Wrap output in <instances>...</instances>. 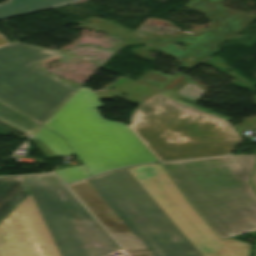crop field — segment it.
Returning <instances> with one entry per match:
<instances>
[{"label":"crop field","instance_id":"4","mask_svg":"<svg viewBox=\"0 0 256 256\" xmlns=\"http://www.w3.org/2000/svg\"><path fill=\"white\" fill-rule=\"evenodd\" d=\"M100 107L94 94L82 88L44 126L64 138L92 176L157 161L126 124L104 120Z\"/></svg>","mask_w":256,"mask_h":256},{"label":"crop field","instance_id":"14","mask_svg":"<svg viewBox=\"0 0 256 256\" xmlns=\"http://www.w3.org/2000/svg\"><path fill=\"white\" fill-rule=\"evenodd\" d=\"M169 78L170 76L151 70L142 79H140L139 82L159 88Z\"/></svg>","mask_w":256,"mask_h":256},{"label":"crop field","instance_id":"1","mask_svg":"<svg viewBox=\"0 0 256 256\" xmlns=\"http://www.w3.org/2000/svg\"><path fill=\"white\" fill-rule=\"evenodd\" d=\"M68 187L130 256L250 254V244L220 240L159 163L111 171Z\"/></svg>","mask_w":256,"mask_h":256},{"label":"crop field","instance_id":"6","mask_svg":"<svg viewBox=\"0 0 256 256\" xmlns=\"http://www.w3.org/2000/svg\"><path fill=\"white\" fill-rule=\"evenodd\" d=\"M24 178L62 256H103L120 250L55 175Z\"/></svg>","mask_w":256,"mask_h":256},{"label":"crop field","instance_id":"15","mask_svg":"<svg viewBox=\"0 0 256 256\" xmlns=\"http://www.w3.org/2000/svg\"><path fill=\"white\" fill-rule=\"evenodd\" d=\"M184 76L177 74L168 83L164 85L162 90L175 94L180 88H182L187 82L183 80Z\"/></svg>","mask_w":256,"mask_h":256},{"label":"crop field","instance_id":"2","mask_svg":"<svg viewBox=\"0 0 256 256\" xmlns=\"http://www.w3.org/2000/svg\"><path fill=\"white\" fill-rule=\"evenodd\" d=\"M256 154L162 163L179 189L223 238L256 230L249 179Z\"/></svg>","mask_w":256,"mask_h":256},{"label":"crop field","instance_id":"8","mask_svg":"<svg viewBox=\"0 0 256 256\" xmlns=\"http://www.w3.org/2000/svg\"><path fill=\"white\" fill-rule=\"evenodd\" d=\"M223 0H190L188 9L202 12L211 21V31L191 35L183 32L171 36L152 33L140 41L147 43L173 57L187 62L185 68L191 70L219 48L214 47L221 44L250 23L256 16L233 12L220 6ZM216 7L219 9L217 10ZM176 42L188 45L186 48L174 46Z\"/></svg>","mask_w":256,"mask_h":256},{"label":"crop field","instance_id":"7","mask_svg":"<svg viewBox=\"0 0 256 256\" xmlns=\"http://www.w3.org/2000/svg\"><path fill=\"white\" fill-rule=\"evenodd\" d=\"M0 256H61L22 176L0 178Z\"/></svg>","mask_w":256,"mask_h":256},{"label":"crop field","instance_id":"10","mask_svg":"<svg viewBox=\"0 0 256 256\" xmlns=\"http://www.w3.org/2000/svg\"><path fill=\"white\" fill-rule=\"evenodd\" d=\"M31 141L48 159L74 154L61 136L43 127L32 137Z\"/></svg>","mask_w":256,"mask_h":256},{"label":"crop field","instance_id":"16","mask_svg":"<svg viewBox=\"0 0 256 256\" xmlns=\"http://www.w3.org/2000/svg\"><path fill=\"white\" fill-rule=\"evenodd\" d=\"M9 43V41L0 34V45Z\"/></svg>","mask_w":256,"mask_h":256},{"label":"crop field","instance_id":"13","mask_svg":"<svg viewBox=\"0 0 256 256\" xmlns=\"http://www.w3.org/2000/svg\"><path fill=\"white\" fill-rule=\"evenodd\" d=\"M88 20L90 23H93V24H95L101 28H104L112 33H115L123 38H127L130 34L133 33L132 31L125 29L123 27H120L108 20H97L95 18H89Z\"/></svg>","mask_w":256,"mask_h":256},{"label":"crop field","instance_id":"3","mask_svg":"<svg viewBox=\"0 0 256 256\" xmlns=\"http://www.w3.org/2000/svg\"><path fill=\"white\" fill-rule=\"evenodd\" d=\"M128 127L158 161L228 154L241 140L227 121L160 93L132 110Z\"/></svg>","mask_w":256,"mask_h":256},{"label":"crop field","instance_id":"18","mask_svg":"<svg viewBox=\"0 0 256 256\" xmlns=\"http://www.w3.org/2000/svg\"><path fill=\"white\" fill-rule=\"evenodd\" d=\"M252 182L256 188V169H255V172H254V175H253V178H252Z\"/></svg>","mask_w":256,"mask_h":256},{"label":"crop field","instance_id":"9","mask_svg":"<svg viewBox=\"0 0 256 256\" xmlns=\"http://www.w3.org/2000/svg\"><path fill=\"white\" fill-rule=\"evenodd\" d=\"M76 1L78 0H9L6 3L0 4V20L46 10Z\"/></svg>","mask_w":256,"mask_h":256},{"label":"crop field","instance_id":"17","mask_svg":"<svg viewBox=\"0 0 256 256\" xmlns=\"http://www.w3.org/2000/svg\"><path fill=\"white\" fill-rule=\"evenodd\" d=\"M170 138L178 140L180 138V136L179 135H169V136L166 137V139H170Z\"/></svg>","mask_w":256,"mask_h":256},{"label":"crop field","instance_id":"12","mask_svg":"<svg viewBox=\"0 0 256 256\" xmlns=\"http://www.w3.org/2000/svg\"><path fill=\"white\" fill-rule=\"evenodd\" d=\"M65 183L82 179L84 177L90 176L87 169L82 166L63 168L55 171ZM60 178V179H61Z\"/></svg>","mask_w":256,"mask_h":256},{"label":"crop field","instance_id":"5","mask_svg":"<svg viewBox=\"0 0 256 256\" xmlns=\"http://www.w3.org/2000/svg\"><path fill=\"white\" fill-rule=\"evenodd\" d=\"M60 56L19 42L0 48V103L42 124L75 90L30 64Z\"/></svg>","mask_w":256,"mask_h":256},{"label":"crop field","instance_id":"11","mask_svg":"<svg viewBox=\"0 0 256 256\" xmlns=\"http://www.w3.org/2000/svg\"><path fill=\"white\" fill-rule=\"evenodd\" d=\"M0 119L31 135L40 125L0 104Z\"/></svg>","mask_w":256,"mask_h":256}]
</instances>
